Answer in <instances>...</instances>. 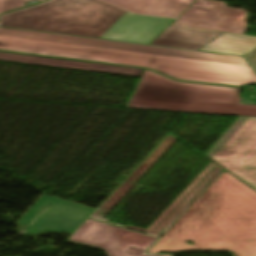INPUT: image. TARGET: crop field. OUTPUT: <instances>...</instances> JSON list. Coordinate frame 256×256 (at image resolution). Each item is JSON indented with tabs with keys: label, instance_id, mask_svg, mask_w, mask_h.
Returning a JSON list of instances; mask_svg holds the SVG:
<instances>
[{
	"label": "crop field",
	"instance_id": "d1516ede",
	"mask_svg": "<svg viewBox=\"0 0 256 256\" xmlns=\"http://www.w3.org/2000/svg\"><path fill=\"white\" fill-rule=\"evenodd\" d=\"M220 32L205 31L191 28H183L170 25L156 40L151 44L198 50Z\"/></svg>",
	"mask_w": 256,
	"mask_h": 256
},
{
	"label": "crop field",
	"instance_id": "3316defc",
	"mask_svg": "<svg viewBox=\"0 0 256 256\" xmlns=\"http://www.w3.org/2000/svg\"><path fill=\"white\" fill-rule=\"evenodd\" d=\"M0 59L1 60H9V61H17V62H25V63L66 67V68H74V69H82V70L136 75V76H141V74L144 70V69H137V68L110 66V65H102V64L38 57V56H31V55L7 53V52H0Z\"/></svg>",
	"mask_w": 256,
	"mask_h": 256
},
{
	"label": "crop field",
	"instance_id": "22f410ed",
	"mask_svg": "<svg viewBox=\"0 0 256 256\" xmlns=\"http://www.w3.org/2000/svg\"><path fill=\"white\" fill-rule=\"evenodd\" d=\"M256 46V37L222 33L200 51L243 56Z\"/></svg>",
	"mask_w": 256,
	"mask_h": 256
},
{
	"label": "crop field",
	"instance_id": "d8731c3e",
	"mask_svg": "<svg viewBox=\"0 0 256 256\" xmlns=\"http://www.w3.org/2000/svg\"><path fill=\"white\" fill-rule=\"evenodd\" d=\"M155 240V237L87 219L67 241L105 250L108 256H138L127 254V247L143 253Z\"/></svg>",
	"mask_w": 256,
	"mask_h": 256
},
{
	"label": "crop field",
	"instance_id": "5142ce71",
	"mask_svg": "<svg viewBox=\"0 0 256 256\" xmlns=\"http://www.w3.org/2000/svg\"><path fill=\"white\" fill-rule=\"evenodd\" d=\"M32 0H0V13L25 7L26 5L24 3L29 2ZM40 2H43L45 0H38Z\"/></svg>",
	"mask_w": 256,
	"mask_h": 256
},
{
	"label": "crop field",
	"instance_id": "d9b57169",
	"mask_svg": "<svg viewBox=\"0 0 256 256\" xmlns=\"http://www.w3.org/2000/svg\"><path fill=\"white\" fill-rule=\"evenodd\" d=\"M246 60L256 71V48L246 55Z\"/></svg>",
	"mask_w": 256,
	"mask_h": 256
},
{
	"label": "crop field",
	"instance_id": "5a996713",
	"mask_svg": "<svg viewBox=\"0 0 256 256\" xmlns=\"http://www.w3.org/2000/svg\"><path fill=\"white\" fill-rule=\"evenodd\" d=\"M175 24L244 34L246 10L231 8L225 2L196 0Z\"/></svg>",
	"mask_w": 256,
	"mask_h": 256
},
{
	"label": "crop field",
	"instance_id": "412701ff",
	"mask_svg": "<svg viewBox=\"0 0 256 256\" xmlns=\"http://www.w3.org/2000/svg\"><path fill=\"white\" fill-rule=\"evenodd\" d=\"M126 107L256 117L240 89L177 82L145 70Z\"/></svg>",
	"mask_w": 256,
	"mask_h": 256
},
{
	"label": "crop field",
	"instance_id": "ac0d7876",
	"mask_svg": "<svg viewBox=\"0 0 256 256\" xmlns=\"http://www.w3.org/2000/svg\"><path fill=\"white\" fill-rule=\"evenodd\" d=\"M173 20L131 14L98 0H53L3 16L0 26L150 44Z\"/></svg>",
	"mask_w": 256,
	"mask_h": 256
},
{
	"label": "crop field",
	"instance_id": "28ad6ade",
	"mask_svg": "<svg viewBox=\"0 0 256 256\" xmlns=\"http://www.w3.org/2000/svg\"><path fill=\"white\" fill-rule=\"evenodd\" d=\"M137 14L177 18L195 0H103Z\"/></svg>",
	"mask_w": 256,
	"mask_h": 256
},
{
	"label": "crop field",
	"instance_id": "8a807250",
	"mask_svg": "<svg viewBox=\"0 0 256 256\" xmlns=\"http://www.w3.org/2000/svg\"><path fill=\"white\" fill-rule=\"evenodd\" d=\"M187 250L255 256L256 192L224 171L146 254Z\"/></svg>",
	"mask_w": 256,
	"mask_h": 256
},
{
	"label": "crop field",
	"instance_id": "dd49c442",
	"mask_svg": "<svg viewBox=\"0 0 256 256\" xmlns=\"http://www.w3.org/2000/svg\"><path fill=\"white\" fill-rule=\"evenodd\" d=\"M0 35L248 66L244 59L239 56L193 50L109 41L4 27H0Z\"/></svg>",
	"mask_w": 256,
	"mask_h": 256
},
{
	"label": "crop field",
	"instance_id": "733c2abd",
	"mask_svg": "<svg viewBox=\"0 0 256 256\" xmlns=\"http://www.w3.org/2000/svg\"><path fill=\"white\" fill-rule=\"evenodd\" d=\"M127 252L128 253H131V254H138V255H142L141 253H139V252H136V251H134V250H131V249H127Z\"/></svg>",
	"mask_w": 256,
	"mask_h": 256
},
{
	"label": "crop field",
	"instance_id": "34b2d1b8",
	"mask_svg": "<svg viewBox=\"0 0 256 256\" xmlns=\"http://www.w3.org/2000/svg\"><path fill=\"white\" fill-rule=\"evenodd\" d=\"M0 50L151 68L170 77L240 86L256 82L250 67L0 37Z\"/></svg>",
	"mask_w": 256,
	"mask_h": 256
},
{
	"label": "crop field",
	"instance_id": "f4fd0767",
	"mask_svg": "<svg viewBox=\"0 0 256 256\" xmlns=\"http://www.w3.org/2000/svg\"><path fill=\"white\" fill-rule=\"evenodd\" d=\"M205 156L256 189V118L240 117Z\"/></svg>",
	"mask_w": 256,
	"mask_h": 256
},
{
	"label": "crop field",
	"instance_id": "e52e79f7",
	"mask_svg": "<svg viewBox=\"0 0 256 256\" xmlns=\"http://www.w3.org/2000/svg\"><path fill=\"white\" fill-rule=\"evenodd\" d=\"M95 211L88 207L43 195L17 222L21 232H73Z\"/></svg>",
	"mask_w": 256,
	"mask_h": 256
},
{
	"label": "crop field",
	"instance_id": "cbeb9de0",
	"mask_svg": "<svg viewBox=\"0 0 256 256\" xmlns=\"http://www.w3.org/2000/svg\"><path fill=\"white\" fill-rule=\"evenodd\" d=\"M219 169L221 168L211 162L191 183V185H197L193 189V191L151 232V234L156 235L190 201V199L206 184V182ZM222 170L223 169H221L219 173ZM216 176L183 208V210L162 230V232H165L171 226V224L186 210V208L201 194V192L216 178Z\"/></svg>",
	"mask_w": 256,
	"mask_h": 256
}]
</instances>
